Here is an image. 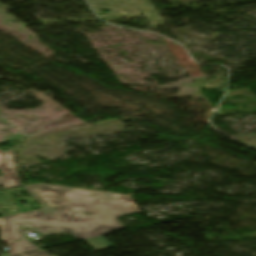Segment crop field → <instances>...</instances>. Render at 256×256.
<instances>
[{
    "label": "crop field",
    "mask_w": 256,
    "mask_h": 256,
    "mask_svg": "<svg viewBox=\"0 0 256 256\" xmlns=\"http://www.w3.org/2000/svg\"><path fill=\"white\" fill-rule=\"evenodd\" d=\"M88 242L93 248H95L97 251L107 248L109 246H112L106 239H104L102 236L93 238V239H87L85 240Z\"/></svg>",
    "instance_id": "412701ff"
},
{
    "label": "crop field",
    "mask_w": 256,
    "mask_h": 256,
    "mask_svg": "<svg viewBox=\"0 0 256 256\" xmlns=\"http://www.w3.org/2000/svg\"><path fill=\"white\" fill-rule=\"evenodd\" d=\"M25 188L43 209L0 217L2 241L25 238L23 228L45 235L67 232L83 240L124 228L117 217L139 212L127 195L44 184Z\"/></svg>",
    "instance_id": "8a807250"
},
{
    "label": "crop field",
    "mask_w": 256,
    "mask_h": 256,
    "mask_svg": "<svg viewBox=\"0 0 256 256\" xmlns=\"http://www.w3.org/2000/svg\"><path fill=\"white\" fill-rule=\"evenodd\" d=\"M0 169L3 172L0 184L5 189L22 185L16 172L13 150H8L6 153L0 150Z\"/></svg>",
    "instance_id": "ac0d7876"
},
{
    "label": "crop field",
    "mask_w": 256,
    "mask_h": 256,
    "mask_svg": "<svg viewBox=\"0 0 256 256\" xmlns=\"http://www.w3.org/2000/svg\"><path fill=\"white\" fill-rule=\"evenodd\" d=\"M15 256H21V255L19 254V255H15Z\"/></svg>",
    "instance_id": "dd49c442"
},
{
    "label": "crop field",
    "mask_w": 256,
    "mask_h": 256,
    "mask_svg": "<svg viewBox=\"0 0 256 256\" xmlns=\"http://www.w3.org/2000/svg\"><path fill=\"white\" fill-rule=\"evenodd\" d=\"M23 256H51L41 250L22 254Z\"/></svg>",
    "instance_id": "f4fd0767"
},
{
    "label": "crop field",
    "mask_w": 256,
    "mask_h": 256,
    "mask_svg": "<svg viewBox=\"0 0 256 256\" xmlns=\"http://www.w3.org/2000/svg\"><path fill=\"white\" fill-rule=\"evenodd\" d=\"M8 247H9V256L18 254V253H25L29 251H34L38 250L34 244H32L30 241L26 240H21L19 242L12 241V242H7Z\"/></svg>",
    "instance_id": "34b2d1b8"
}]
</instances>
